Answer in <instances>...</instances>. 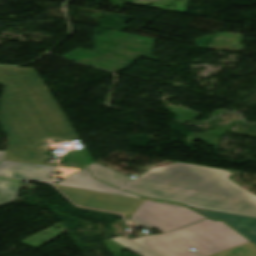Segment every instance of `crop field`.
<instances>
[{
  "label": "crop field",
  "instance_id": "crop-field-7",
  "mask_svg": "<svg viewBox=\"0 0 256 256\" xmlns=\"http://www.w3.org/2000/svg\"><path fill=\"white\" fill-rule=\"evenodd\" d=\"M57 184L60 186H66L71 188L104 192V193L116 194V195H121L126 197L143 199L142 197H138L133 194L127 193L125 191L118 190L112 186H109L107 184L94 180L91 177L88 170H81Z\"/></svg>",
  "mask_w": 256,
  "mask_h": 256
},
{
  "label": "crop field",
  "instance_id": "crop-field-5",
  "mask_svg": "<svg viewBox=\"0 0 256 256\" xmlns=\"http://www.w3.org/2000/svg\"><path fill=\"white\" fill-rule=\"evenodd\" d=\"M56 186V185H55ZM76 205L132 215L143 200L56 186Z\"/></svg>",
  "mask_w": 256,
  "mask_h": 256
},
{
  "label": "crop field",
  "instance_id": "crop-field-9",
  "mask_svg": "<svg viewBox=\"0 0 256 256\" xmlns=\"http://www.w3.org/2000/svg\"><path fill=\"white\" fill-rule=\"evenodd\" d=\"M86 168L91 170V172L95 178H97L103 182H106L108 184H111L113 186H116L118 188L124 186L125 184H127L133 180L127 176H124L120 173H117L108 168L100 166L96 163H94Z\"/></svg>",
  "mask_w": 256,
  "mask_h": 256
},
{
  "label": "crop field",
  "instance_id": "crop-field-14",
  "mask_svg": "<svg viewBox=\"0 0 256 256\" xmlns=\"http://www.w3.org/2000/svg\"><path fill=\"white\" fill-rule=\"evenodd\" d=\"M58 170H62L63 173L57 175L56 177L62 178V179H65V178L69 177L70 175L79 171L78 169H70V168H62V167H59Z\"/></svg>",
  "mask_w": 256,
  "mask_h": 256
},
{
  "label": "crop field",
  "instance_id": "crop-field-12",
  "mask_svg": "<svg viewBox=\"0 0 256 256\" xmlns=\"http://www.w3.org/2000/svg\"><path fill=\"white\" fill-rule=\"evenodd\" d=\"M112 240L140 256H155V255L151 254L150 252L144 250L143 248L137 246L136 244L130 242L129 240L125 239L123 236L113 238Z\"/></svg>",
  "mask_w": 256,
  "mask_h": 256
},
{
  "label": "crop field",
  "instance_id": "crop-field-1",
  "mask_svg": "<svg viewBox=\"0 0 256 256\" xmlns=\"http://www.w3.org/2000/svg\"><path fill=\"white\" fill-rule=\"evenodd\" d=\"M0 83V122L8 137L4 159L41 164L43 140L78 139L35 69L0 67Z\"/></svg>",
  "mask_w": 256,
  "mask_h": 256
},
{
  "label": "crop field",
  "instance_id": "crop-field-6",
  "mask_svg": "<svg viewBox=\"0 0 256 256\" xmlns=\"http://www.w3.org/2000/svg\"><path fill=\"white\" fill-rule=\"evenodd\" d=\"M56 170V167L33 165L17 162L3 161L0 163V174L44 181L52 183L53 179L48 176L49 173Z\"/></svg>",
  "mask_w": 256,
  "mask_h": 256
},
{
  "label": "crop field",
  "instance_id": "crop-field-2",
  "mask_svg": "<svg viewBox=\"0 0 256 256\" xmlns=\"http://www.w3.org/2000/svg\"><path fill=\"white\" fill-rule=\"evenodd\" d=\"M224 170L173 163L148 171L123 190L191 207L256 217V195L228 179Z\"/></svg>",
  "mask_w": 256,
  "mask_h": 256
},
{
  "label": "crop field",
  "instance_id": "crop-field-11",
  "mask_svg": "<svg viewBox=\"0 0 256 256\" xmlns=\"http://www.w3.org/2000/svg\"><path fill=\"white\" fill-rule=\"evenodd\" d=\"M212 256H256V247L249 242Z\"/></svg>",
  "mask_w": 256,
  "mask_h": 256
},
{
  "label": "crop field",
  "instance_id": "crop-field-3",
  "mask_svg": "<svg viewBox=\"0 0 256 256\" xmlns=\"http://www.w3.org/2000/svg\"><path fill=\"white\" fill-rule=\"evenodd\" d=\"M133 241L160 256H209L249 242L223 222L209 219L162 235H150ZM189 247L198 252L189 250Z\"/></svg>",
  "mask_w": 256,
  "mask_h": 256
},
{
  "label": "crop field",
  "instance_id": "crop-field-8",
  "mask_svg": "<svg viewBox=\"0 0 256 256\" xmlns=\"http://www.w3.org/2000/svg\"><path fill=\"white\" fill-rule=\"evenodd\" d=\"M194 210L210 219L224 221L256 244V218L196 208Z\"/></svg>",
  "mask_w": 256,
  "mask_h": 256
},
{
  "label": "crop field",
  "instance_id": "crop-field-10",
  "mask_svg": "<svg viewBox=\"0 0 256 256\" xmlns=\"http://www.w3.org/2000/svg\"><path fill=\"white\" fill-rule=\"evenodd\" d=\"M23 181L0 177V205L13 201Z\"/></svg>",
  "mask_w": 256,
  "mask_h": 256
},
{
  "label": "crop field",
  "instance_id": "crop-field-13",
  "mask_svg": "<svg viewBox=\"0 0 256 256\" xmlns=\"http://www.w3.org/2000/svg\"><path fill=\"white\" fill-rule=\"evenodd\" d=\"M80 151H86V149L71 151V152H69V153H72V152L75 153V152H76L77 155H78V157L80 158V160L82 161V163H83L84 166L81 165V164H72V163H65L64 166H66V167H78V168H83V167L89 165V164L87 163V161L85 160V158L83 157V155L81 154ZM67 154H68V153H67ZM60 163H62V162H60Z\"/></svg>",
  "mask_w": 256,
  "mask_h": 256
},
{
  "label": "crop field",
  "instance_id": "crop-field-4",
  "mask_svg": "<svg viewBox=\"0 0 256 256\" xmlns=\"http://www.w3.org/2000/svg\"><path fill=\"white\" fill-rule=\"evenodd\" d=\"M206 219L193 210L177 205L144 200L130 220L164 233Z\"/></svg>",
  "mask_w": 256,
  "mask_h": 256
},
{
  "label": "crop field",
  "instance_id": "crop-field-15",
  "mask_svg": "<svg viewBox=\"0 0 256 256\" xmlns=\"http://www.w3.org/2000/svg\"><path fill=\"white\" fill-rule=\"evenodd\" d=\"M4 153H5V152H0V160H2V159H3V157H4Z\"/></svg>",
  "mask_w": 256,
  "mask_h": 256
}]
</instances>
